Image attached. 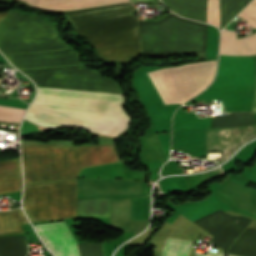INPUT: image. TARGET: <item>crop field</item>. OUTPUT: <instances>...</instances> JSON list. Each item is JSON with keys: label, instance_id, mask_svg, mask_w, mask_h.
<instances>
[{"label": "crop field", "instance_id": "obj_1", "mask_svg": "<svg viewBox=\"0 0 256 256\" xmlns=\"http://www.w3.org/2000/svg\"><path fill=\"white\" fill-rule=\"evenodd\" d=\"M122 95L37 87L25 119L44 127H77L116 136L129 118Z\"/></svg>", "mask_w": 256, "mask_h": 256}, {"label": "crop field", "instance_id": "obj_2", "mask_svg": "<svg viewBox=\"0 0 256 256\" xmlns=\"http://www.w3.org/2000/svg\"><path fill=\"white\" fill-rule=\"evenodd\" d=\"M135 11L126 3L63 14L98 59L131 61L139 51Z\"/></svg>", "mask_w": 256, "mask_h": 256}, {"label": "crop field", "instance_id": "obj_3", "mask_svg": "<svg viewBox=\"0 0 256 256\" xmlns=\"http://www.w3.org/2000/svg\"><path fill=\"white\" fill-rule=\"evenodd\" d=\"M25 184L75 179L87 166L119 161L115 145H21Z\"/></svg>", "mask_w": 256, "mask_h": 256}, {"label": "crop field", "instance_id": "obj_4", "mask_svg": "<svg viewBox=\"0 0 256 256\" xmlns=\"http://www.w3.org/2000/svg\"><path fill=\"white\" fill-rule=\"evenodd\" d=\"M141 51L205 54L207 25L172 13L157 22H138Z\"/></svg>", "mask_w": 256, "mask_h": 256}, {"label": "crop field", "instance_id": "obj_5", "mask_svg": "<svg viewBox=\"0 0 256 256\" xmlns=\"http://www.w3.org/2000/svg\"><path fill=\"white\" fill-rule=\"evenodd\" d=\"M253 85L254 57L219 55L214 81L192 99H220L225 111H249Z\"/></svg>", "mask_w": 256, "mask_h": 256}, {"label": "crop field", "instance_id": "obj_6", "mask_svg": "<svg viewBox=\"0 0 256 256\" xmlns=\"http://www.w3.org/2000/svg\"><path fill=\"white\" fill-rule=\"evenodd\" d=\"M23 208L30 222L76 216V180L24 186Z\"/></svg>", "mask_w": 256, "mask_h": 256}, {"label": "crop field", "instance_id": "obj_7", "mask_svg": "<svg viewBox=\"0 0 256 256\" xmlns=\"http://www.w3.org/2000/svg\"><path fill=\"white\" fill-rule=\"evenodd\" d=\"M34 228L55 256H79L76 241L65 222L36 225Z\"/></svg>", "mask_w": 256, "mask_h": 256}, {"label": "crop field", "instance_id": "obj_8", "mask_svg": "<svg viewBox=\"0 0 256 256\" xmlns=\"http://www.w3.org/2000/svg\"><path fill=\"white\" fill-rule=\"evenodd\" d=\"M29 5L55 10H79L126 3L129 0H21Z\"/></svg>", "mask_w": 256, "mask_h": 256}, {"label": "crop field", "instance_id": "obj_9", "mask_svg": "<svg viewBox=\"0 0 256 256\" xmlns=\"http://www.w3.org/2000/svg\"><path fill=\"white\" fill-rule=\"evenodd\" d=\"M250 0H221V28ZM207 22L220 29V0H208Z\"/></svg>", "mask_w": 256, "mask_h": 256}, {"label": "crop field", "instance_id": "obj_10", "mask_svg": "<svg viewBox=\"0 0 256 256\" xmlns=\"http://www.w3.org/2000/svg\"><path fill=\"white\" fill-rule=\"evenodd\" d=\"M219 54L251 55L256 54V33L236 39V33L222 30Z\"/></svg>", "mask_w": 256, "mask_h": 256}, {"label": "crop field", "instance_id": "obj_11", "mask_svg": "<svg viewBox=\"0 0 256 256\" xmlns=\"http://www.w3.org/2000/svg\"><path fill=\"white\" fill-rule=\"evenodd\" d=\"M22 177L19 158L0 162V194L21 191Z\"/></svg>", "mask_w": 256, "mask_h": 256}, {"label": "crop field", "instance_id": "obj_12", "mask_svg": "<svg viewBox=\"0 0 256 256\" xmlns=\"http://www.w3.org/2000/svg\"><path fill=\"white\" fill-rule=\"evenodd\" d=\"M170 10L189 19L206 22L207 0H162Z\"/></svg>", "mask_w": 256, "mask_h": 256}, {"label": "crop field", "instance_id": "obj_13", "mask_svg": "<svg viewBox=\"0 0 256 256\" xmlns=\"http://www.w3.org/2000/svg\"><path fill=\"white\" fill-rule=\"evenodd\" d=\"M28 223L21 209L0 212V235L24 233L20 224Z\"/></svg>", "mask_w": 256, "mask_h": 256}, {"label": "crop field", "instance_id": "obj_14", "mask_svg": "<svg viewBox=\"0 0 256 256\" xmlns=\"http://www.w3.org/2000/svg\"><path fill=\"white\" fill-rule=\"evenodd\" d=\"M191 241L167 238L161 256H187Z\"/></svg>", "mask_w": 256, "mask_h": 256}, {"label": "crop field", "instance_id": "obj_15", "mask_svg": "<svg viewBox=\"0 0 256 256\" xmlns=\"http://www.w3.org/2000/svg\"><path fill=\"white\" fill-rule=\"evenodd\" d=\"M24 110L0 106V120L19 122Z\"/></svg>", "mask_w": 256, "mask_h": 256}, {"label": "crop field", "instance_id": "obj_16", "mask_svg": "<svg viewBox=\"0 0 256 256\" xmlns=\"http://www.w3.org/2000/svg\"><path fill=\"white\" fill-rule=\"evenodd\" d=\"M239 16H242L249 20L251 26L253 28H256V0H253L240 14ZM247 20V21H248Z\"/></svg>", "mask_w": 256, "mask_h": 256}, {"label": "crop field", "instance_id": "obj_17", "mask_svg": "<svg viewBox=\"0 0 256 256\" xmlns=\"http://www.w3.org/2000/svg\"><path fill=\"white\" fill-rule=\"evenodd\" d=\"M225 254L222 253H216V252H210L208 251L205 254H198V256H224Z\"/></svg>", "mask_w": 256, "mask_h": 256}, {"label": "crop field", "instance_id": "obj_18", "mask_svg": "<svg viewBox=\"0 0 256 256\" xmlns=\"http://www.w3.org/2000/svg\"><path fill=\"white\" fill-rule=\"evenodd\" d=\"M252 111L256 112V84H255V91H254V97H253Z\"/></svg>", "mask_w": 256, "mask_h": 256}, {"label": "crop field", "instance_id": "obj_19", "mask_svg": "<svg viewBox=\"0 0 256 256\" xmlns=\"http://www.w3.org/2000/svg\"><path fill=\"white\" fill-rule=\"evenodd\" d=\"M11 11H7V12H3V13H0V21L7 15L9 14Z\"/></svg>", "mask_w": 256, "mask_h": 256}, {"label": "crop field", "instance_id": "obj_20", "mask_svg": "<svg viewBox=\"0 0 256 256\" xmlns=\"http://www.w3.org/2000/svg\"><path fill=\"white\" fill-rule=\"evenodd\" d=\"M136 1H148V0H131V2H136Z\"/></svg>", "mask_w": 256, "mask_h": 256}, {"label": "crop field", "instance_id": "obj_21", "mask_svg": "<svg viewBox=\"0 0 256 256\" xmlns=\"http://www.w3.org/2000/svg\"><path fill=\"white\" fill-rule=\"evenodd\" d=\"M228 256H234V255H230V254H229Z\"/></svg>", "mask_w": 256, "mask_h": 256}]
</instances>
